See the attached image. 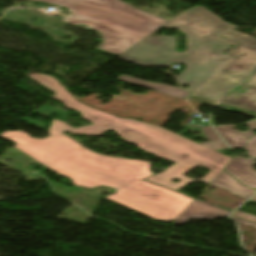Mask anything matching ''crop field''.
Instances as JSON below:
<instances>
[{
	"mask_svg": "<svg viewBox=\"0 0 256 256\" xmlns=\"http://www.w3.org/2000/svg\"><path fill=\"white\" fill-rule=\"evenodd\" d=\"M0 136L78 186L114 188L117 193L105 198L155 220H177L194 201L141 180L152 176L149 162L98 154L67 135L35 139L22 131H6Z\"/></svg>",
	"mask_w": 256,
	"mask_h": 256,
	"instance_id": "1",
	"label": "crop field"
},
{
	"mask_svg": "<svg viewBox=\"0 0 256 256\" xmlns=\"http://www.w3.org/2000/svg\"><path fill=\"white\" fill-rule=\"evenodd\" d=\"M29 77L55 92L56 95L52 98L64 102L65 106L68 108L81 112L82 117L91 121L93 125L74 129L64 123L68 113L47 105L39 108L34 113L52 119L51 127L29 118L30 115L23 121L44 131H47L45 130L46 127L50 128L48 132L51 135H65L63 132L67 131L75 134L100 136L105 131L115 130L125 141L138 148L177 163L163 173L145 180L169 187L176 191L195 181L210 184L219 172L233 159L162 127L141 123L136 120L120 118L87 106L75 100L71 94L52 77L42 74H33ZM53 112L61 115L62 121L55 120L48 116ZM199 165L212 170L204 179L192 180L183 175ZM173 179H179L180 182L174 183L171 181Z\"/></svg>",
	"mask_w": 256,
	"mask_h": 256,
	"instance_id": "2",
	"label": "crop field"
},
{
	"mask_svg": "<svg viewBox=\"0 0 256 256\" xmlns=\"http://www.w3.org/2000/svg\"><path fill=\"white\" fill-rule=\"evenodd\" d=\"M162 27L178 28L187 35L186 52H175L174 37L148 36L120 58L141 66L185 64V70L176 77L180 84H189L187 89L194 92L233 58L222 54L233 46L214 38L237 26L201 6L186 10Z\"/></svg>",
	"mask_w": 256,
	"mask_h": 256,
	"instance_id": "3",
	"label": "crop field"
},
{
	"mask_svg": "<svg viewBox=\"0 0 256 256\" xmlns=\"http://www.w3.org/2000/svg\"><path fill=\"white\" fill-rule=\"evenodd\" d=\"M70 8L98 21L93 29L103 35L100 50L119 55L169 21L118 0H39Z\"/></svg>",
	"mask_w": 256,
	"mask_h": 256,
	"instance_id": "4",
	"label": "crop field"
},
{
	"mask_svg": "<svg viewBox=\"0 0 256 256\" xmlns=\"http://www.w3.org/2000/svg\"><path fill=\"white\" fill-rule=\"evenodd\" d=\"M217 39L236 46L227 55L233 58L222 70L238 71L247 74L256 66V38L232 30Z\"/></svg>",
	"mask_w": 256,
	"mask_h": 256,
	"instance_id": "5",
	"label": "crop field"
},
{
	"mask_svg": "<svg viewBox=\"0 0 256 256\" xmlns=\"http://www.w3.org/2000/svg\"><path fill=\"white\" fill-rule=\"evenodd\" d=\"M219 104L228 110L256 117V68L237 87L225 94Z\"/></svg>",
	"mask_w": 256,
	"mask_h": 256,
	"instance_id": "6",
	"label": "crop field"
},
{
	"mask_svg": "<svg viewBox=\"0 0 256 256\" xmlns=\"http://www.w3.org/2000/svg\"><path fill=\"white\" fill-rule=\"evenodd\" d=\"M245 74L220 70L189 99L214 106L222 93L237 84Z\"/></svg>",
	"mask_w": 256,
	"mask_h": 256,
	"instance_id": "7",
	"label": "crop field"
},
{
	"mask_svg": "<svg viewBox=\"0 0 256 256\" xmlns=\"http://www.w3.org/2000/svg\"><path fill=\"white\" fill-rule=\"evenodd\" d=\"M230 211L195 200L175 222L184 225L190 218L213 219L228 215Z\"/></svg>",
	"mask_w": 256,
	"mask_h": 256,
	"instance_id": "8",
	"label": "crop field"
},
{
	"mask_svg": "<svg viewBox=\"0 0 256 256\" xmlns=\"http://www.w3.org/2000/svg\"><path fill=\"white\" fill-rule=\"evenodd\" d=\"M255 163L249 159L235 157L224 169L246 186L256 188V170L252 168Z\"/></svg>",
	"mask_w": 256,
	"mask_h": 256,
	"instance_id": "9",
	"label": "crop field"
},
{
	"mask_svg": "<svg viewBox=\"0 0 256 256\" xmlns=\"http://www.w3.org/2000/svg\"><path fill=\"white\" fill-rule=\"evenodd\" d=\"M211 185L228 190L231 193L245 199H247L248 196H251L256 191L255 189H249L241 185L224 170H222L220 174L213 180Z\"/></svg>",
	"mask_w": 256,
	"mask_h": 256,
	"instance_id": "10",
	"label": "crop field"
},
{
	"mask_svg": "<svg viewBox=\"0 0 256 256\" xmlns=\"http://www.w3.org/2000/svg\"><path fill=\"white\" fill-rule=\"evenodd\" d=\"M117 80L128 82L141 87L153 89L160 93L168 94V95L183 98V99H185L189 95V93L184 89L162 85V84H153V83L141 81L125 75H121L119 78H117Z\"/></svg>",
	"mask_w": 256,
	"mask_h": 256,
	"instance_id": "11",
	"label": "crop field"
},
{
	"mask_svg": "<svg viewBox=\"0 0 256 256\" xmlns=\"http://www.w3.org/2000/svg\"><path fill=\"white\" fill-rule=\"evenodd\" d=\"M71 12H73V16L71 18L67 19V21H69L73 24L83 23V24H87V25H90L91 27H93L97 23L96 21L86 18L72 10H71Z\"/></svg>",
	"mask_w": 256,
	"mask_h": 256,
	"instance_id": "12",
	"label": "crop field"
},
{
	"mask_svg": "<svg viewBox=\"0 0 256 256\" xmlns=\"http://www.w3.org/2000/svg\"><path fill=\"white\" fill-rule=\"evenodd\" d=\"M243 149L249 152L247 155L256 157V135L253 136Z\"/></svg>",
	"mask_w": 256,
	"mask_h": 256,
	"instance_id": "13",
	"label": "crop field"
},
{
	"mask_svg": "<svg viewBox=\"0 0 256 256\" xmlns=\"http://www.w3.org/2000/svg\"><path fill=\"white\" fill-rule=\"evenodd\" d=\"M252 200L256 201V195ZM233 215H236V216H239V217H242V218H245V219L256 222V216H253L251 214H248V213H245V212H242V211H239V210H237L235 213H233Z\"/></svg>",
	"mask_w": 256,
	"mask_h": 256,
	"instance_id": "14",
	"label": "crop field"
},
{
	"mask_svg": "<svg viewBox=\"0 0 256 256\" xmlns=\"http://www.w3.org/2000/svg\"><path fill=\"white\" fill-rule=\"evenodd\" d=\"M231 217H232L234 220L238 221V222L245 223V224H248V225H251V226H255V227H256V224H254V223H251V222H248V221H245V220H242V219L233 217V216H231Z\"/></svg>",
	"mask_w": 256,
	"mask_h": 256,
	"instance_id": "15",
	"label": "crop field"
}]
</instances>
